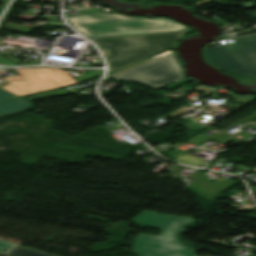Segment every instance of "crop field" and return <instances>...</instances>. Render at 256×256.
Masks as SVG:
<instances>
[{"instance_id":"obj_1","label":"crop field","mask_w":256,"mask_h":256,"mask_svg":"<svg viewBox=\"0 0 256 256\" xmlns=\"http://www.w3.org/2000/svg\"><path fill=\"white\" fill-rule=\"evenodd\" d=\"M74 29L83 32L87 37L102 38L129 36L151 33H162L187 30L172 20L154 17L152 20L141 17H128L105 12L66 16Z\"/></svg>"},{"instance_id":"obj_2","label":"crop field","mask_w":256,"mask_h":256,"mask_svg":"<svg viewBox=\"0 0 256 256\" xmlns=\"http://www.w3.org/2000/svg\"><path fill=\"white\" fill-rule=\"evenodd\" d=\"M187 217H173L145 211L133 219L135 225L162 228L159 236L138 235L133 251L139 256H196L179 243L178 233L194 222Z\"/></svg>"},{"instance_id":"obj_3","label":"crop field","mask_w":256,"mask_h":256,"mask_svg":"<svg viewBox=\"0 0 256 256\" xmlns=\"http://www.w3.org/2000/svg\"><path fill=\"white\" fill-rule=\"evenodd\" d=\"M184 33L112 38L95 40L94 42L108 53L106 58L110 64L111 72L141 61L165 48L174 47L179 37Z\"/></svg>"},{"instance_id":"obj_4","label":"crop field","mask_w":256,"mask_h":256,"mask_svg":"<svg viewBox=\"0 0 256 256\" xmlns=\"http://www.w3.org/2000/svg\"><path fill=\"white\" fill-rule=\"evenodd\" d=\"M203 56L222 71L256 78V39L205 49Z\"/></svg>"},{"instance_id":"obj_5","label":"crop field","mask_w":256,"mask_h":256,"mask_svg":"<svg viewBox=\"0 0 256 256\" xmlns=\"http://www.w3.org/2000/svg\"><path fill=\"white\" fill-rule=\"evenodd\" d=\"M114 78L139 82L153 89L184 78L172 52L120 73Z\"/></svg>"},{"instance_id":"obj_6","label":"crop field","mask_w":256,"mask_h":256,"mask_svg":"<svg viewBox=\"0 0 256 256\" xmlns=\"http://www.w3.org/2000/svg\"><path fill=\"white\" fill-rule=\"evenodd\" d=\"M17 72L21 76L5 78L12 83L2 89L18 96L75 83L66 71L59 69L43 68Z\"/></svg>"},{"instance_id":"obj_7","label":"crop field","mask_w":256,"mask_h":256,"mask_svg":"<svg viewBox=\"0 0 256 256\" xmlns=\"http://www.w3.org/2000/svg\"><path fill=\"white\" fill-rule=\"evenodd\" d=\"M32 103L23 98H17L0 103V116L30 107Z\"/></svg>"},{"instance_id":"obj_8","label":"crop field","mask_w":256,"mask_h":256,"mask_svg":"<svg viewBox=\"0 0 256 256\" xmlns=\"http://www.w3.org/2000/svg\"><path fill=\"white\" fill-rule=\"evenodd\" d=\"M192 185H194L196 188H198L200 191L205 193L207 196H209L213 200L218 193L223 191L204 175Z\"/></svg>"},{"instance_id":"obj_9","label":"crop field","mask_w":256,"mask_h":256,"mask_svg":"<svg viewBox=\"0 0 256 256\" xmlns=\"http://www.w3.org/2000/svg\"><path fill=\"white\" fill-rule=\"evenodd\" d=\"M8 256H54V255L46 254L36 250L18 246L12 249L10 252H8Z\"/></svg>"},{"instance_id":"obj_10","label":"crop field","mask_w":256,"mask_h":256,"mask_svg":"<svg viewBox=\"0 0 256 256\" xmlns=\"http://www.w3.org/2000/svg\"><path fill=\"white\" fill-rule=\"evenodd\" d=\"M14 245L15 244H13V243H9V242H5V241L0 240V253L9 249V248H11Z\"/></svg>"},{"instance_id":"obj_11","label":"crop field","mask_w":256,"mask_h":256,"mask_svg":"<svg viewBox=\"0 0 256 256\" xmlns=\"http://www.w3.org/2000/svg\"><path fill=\"white\" fill-rule=\"evenodd\" d=\"M8 97L13 98V97H17V96L0 89V100L6 99Z\"/></svg>"},{"instance_id":"obj_12","label":"crop field","mask_w":256,"mask_h":256,"mask_svg":"<svg viewBox=\"0 0 256 256\" xmlns=\"http://www.w3.org/2000/svg\"><path fill=\"white\" fill-rule=\"evenodd\" d=\"M204 139H206V138H204V137H202L200 135H197V136L189 139L188 141L193 142L195 144H198V143L202 142Z\"/></svg>"},{"instance_id":"obj_13","label":"crop field","mask_w":256,"mask_h":256,"mask_svg":"<svg viewBox=\"0 0 256 256\" xmlns=\"http://www.w3.org/2000/svg\"><path fill=\"white\" fill-rule=\"evenodd\" d=\"M256 38V34L255 35H250V36H245V37H239V38H234V42L237 41H242V40H248V39H253Z\"/></svg>"},{"instance_id":"obj_14","label":"crop field","mask_w":256,"mask_h":256,"mask_svg":"<svg viewBox=\"0 0 256 256\" xmlns=\"http://www.w3.org/2000/svg\"><path fill=\"white\" fill-rule=\"evenodd\" d=\"M153 58H155V57H151V58L145 60L144 62L149 61V60H151V59H153ZM153 60H154V59H153ZM144 62H142V63H144ZM142 63H140V64H142ZM138 65H139V64H138ZM136 66H137V65H136ZM131 68H132V67H131ZM128 69H130V68H128ZM125 70H127V69H125ZM125 70H121V71H118V72L113 73V74L116 75V74H118V73H120V72H123V71H125Z\"/></svg>"},{"instance_id":"obj_15","label":"crop field","mask_w":256,"mask_h":256,"mask_svg":"<svg viewBox=\"0 0 256 256\" xmlns=\"http://www.w3.org/2000/svg\"><path fill=\"white\" fill-rule=\"evenodd\" d=\"M254 171H256V169Z\"/></svg>"},{"instance_id":"obj_16","label":"crop field","mask_w":256,"mask_h":256,"mask_svg":"<svg viewBox=\"0 0 256 256\" xmlns=\"http://www.w3.org/2000/svg\"><path fill=\"white\" fill-rule=\"evenodd\" d=\"M254 15H256V13Z\"/></svg>"}]
</instances>
